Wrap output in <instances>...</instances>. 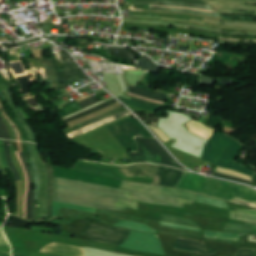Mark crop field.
Instances as JSON below:
<instances>
[{
    "label": "crop field",
    "mask_w": 256,
    "mask_h": 256,
    "mask_svg": "<svg viewBox=\"0 0 256 256\" xmlns=\"http://www.w3.org/2000/svg\"><path fill=\"white\" fill-rule=\"evenodd\" d=\"M40 251V250H39ZM42 253L56 254L62 256H85L83 248L72 247L62 244L50 243L41 249Z\"/></svg>",
    "instance_id": "obj_12"
},
{
    "label": "crop field",
    "mask_w": 256,
    "mask_h": 256,
    "mask_svg": "<svg viewBox=\"0 0 256 256\" xmlns=\"http://www.w3.org/2000/svg\"><path fill=\"white\" fill-rule=\"evenodd\" d=\"M126 95H130V96H133V97H137V98H140V99H144V100H147V101H151V102H155V103H159V104H163V105L165 104L163 102H159V101H155V100L139 97V96H136V95H133V94H130V93H126Z\"/></svg>",
    "instance_id": "obj_50"
},
{
    "label": "crop field",
    "mask_w": 256,
    "mask_h": 256,
    "mask_svg": "<svg viewBox=\"0 0 256 256\" xmlns=\"http://www.w3.org/2000/svg\"><path fill=\"white\" fill-rule=\"evenodd\" d=\"M8 92H9V94H10V96H11V99H12V102H13V98H12V95H11V93H10V91L8 90ZM13 105H14V103H13ZM14 107H15V105H14ZM15 109H16V107H15ZM17 110V109H16ZM17 112H18V110H17ZM19 113V112H18ZM19 115L21 116V114L19 113ZM21 118L24 120V118L21 116ZM24 122L26 123V125L28 126V128L32 131V133H33V135H34V137H35V134H34V132H33V130L30 128V126L27 124V122L24 120ZM35 140H36V138H35ZM37 143V142H36Z\"/></svg>",
    "instance_id": "obj_51"
},
{
    "label": "crop field",
    "mask_w": 256,
    "mask_h": 256,
    "mask_svg": "<svg viewBox=\"0 0 256 256\" xmlns=\"http://www.w3.org/2000/svg\"><path fill=\"white\" fill-rule=\"evenodd\" d=\"M129 114H131V113L128 110H126V111L121 112V113H119V114H117V115H115V116H113L111 118H108V119H105V120H101V121H99V122H97L95 124H92V125H89V126H87L85 128H82V129L76 130L74 132H71V133L67 134V136L71 140V139H73V138H75V137H77V136H79L81 134H84V133H86V132H88V131H90V130H92V129H94V128L102 125V124H106L108 122L115 121L116 119L124 117V116L129 115Z\"/></svg>",
    "instance_id": "obj_16"
},
{
    "label": "crop field",
    "mask_w": 256,
    "mask_h": 256,
    "mask_svg": "<svg viewBox=\"0 0 256 256\" xmlns=\"http://www.w3.org/2000/svg\"><path fill=\"white\" fill-rule=\"evenodd\" d=\"M74 170L88 172V173L109 177V178L121 179L117 176V174L114 172L113 169H109V168L85 166V165L76 163Z\"/></svg>",
    "instance_id": "obj_15"
},
{
    "label": "crop field",
    "mask_w": 256,
    "mask_h": 256,
    "mask_svg": "<svg viewBox=\"0 0 256 256\" xmlns=\"http://www.w3.org/2000/svg\"><path fill=\"white\" fill-rule=\"evenodd\" d=\"M221 41V40H220ZM245 43H251V42H245Z\"/></svg>",
    "instance_id": "obj_61"
},
{
    "label": "crop field",
    "mask_w": 256,
    "mask_h": 256,
    "mask_svg": "<svg viewBox=\"0 0 256 256\" xmlns=\"http://www.w3.org/2000/svg\"><path fill=\"white\" fill-rule=\"evenodd\" d=\"M53 201L120 211L126 208L137 210V202L168 205L182 208L189 201L139 194L121 189L109 188L89 183L54 178Z\"/></svg>",
    "instance_id": "obj_1"
},
{
    "label": "crop field",
    "mask_w": 256,
    "mask_h": 256,
    "mask_svg": "<svg viewBox=\"0 0 256 256\" xmlns=\"http://www.w3.org/2000/svg\"><path fill=\"white\" fill-rule=\"evenodd\" d=\"M129 231L110 226L89 224L84 232L95 242L119 246L127 237Z\"/></svg>",
    "instance_id": "obj_6"
},
{
    "label": "crop field",
    "mask_w": 256,
    "mask_h": 256,
    "mask_svg": "<svg viewBox=\"0 0 256 256\" xmlns=\"http://www.w3.org/2000/svg\"><path fill=\"white\" fill-rule=\"evenodd\" d=\"M0 139H3V138H2V132H1V129H0Z\"/></svg>",
    "instance_id": "obj_57"
},
{
    "label": "crop field",
    "mask_w": 256,
    "mask_h": 256,
    "mask_svg": "<svg viewBox=\"0 0 256 256\" xmlns=\"http://www.w3.org/2000/svg\"><path fill=\"white\" fill-rule=\"evenodd\" d=\"M6 101L8 102L9 106L11 107L12 111L15 113V115L18 117V120L20 121V123L23 125V127L26 129L28 135H29V138H30V141L35 143L34 141V138H33V135L31 133V131L27 128V126L25 125V123L22 121V119L20 118V116L18 115V113L16 112V110L14 109L13 105H12V102L10 100V97L8 95V92L7 90L5 91H2Z\"/></svg>",
    "instance_id": "obj_32"
},
{
    "label": "crop field",
    "mask_w": 256,
    "mask_h": 256,
    "mask_svg": "<svg viewBox=\"0 0 256 256\" xmlns=\"http://www.w3.org/2000/svg\"><path fill=\"white\" fill-rule=\"evenodd\" d=\"M243 146L238 141L216 131L206 145L202 159L217 166L252 176L255 171L233 161Z\"/></svg>",
    "instance_id": "obj_3"
},
{
    "label": "crop field",
    "mask_w": 256,
    "mask_h": 256,
    "mask_svg": "<svg viewBox=\"0 0 256 256\" xmlns=\"http://www.w3.org/2000/svg\"><path fill=\"white\" fill-rule=\"evenodd\" d=\"M190 125V130L193 134L198 135L202 138H205L207 140L210 139V137L213 135L215 132L213 129L193 120L192 122L189 123Z\"/></svg>",
    "instance_id": "obj_18"
},
{
    "label": "crop field",
    "mask_w": 256,
    "mask_h": 256,
    "mask_svg": "<svg viewBox=\"0 0 256 256\" xmlns=\"http://www.w3.org/2000/svg\"><path fill=\"white\" fill-rule=\"evenodd\" d=\"M160 223H161V225H164V226L175 227V228H182V229H189V230H193V231L199 232V229H197V228H190V227L178 226V225H173V224L164 223V222H160ZM200 230H201V229H200Z\"/></svg>",
    "instance_id": "obj_45"
},
{
    "label": "crop field",
    "mask_w": 256,
    "mask_h": 256,
    "mask_svg": "<svg viewBox=\"0 0 256 256\" xmlns=\"http://www.w3.org/2000/svg\"><path fill=\"white\" fill-rule=\"evenodd\" d=\"M252 40H256V39H252Z\"/></svg>",
    "instance_id": "obj_64"
},
{
    "label": "crop field",
    "mask_w": 256,
    "mask_h": 256,
    "mask_svg": "<svg viewBox=\"0 0 256 256\" xmlns=\"http://www.w3.org/2000/svg\"><path fill=\"white\" fill-rule=\"evenodd\" d=\"M0 256H10V254L0 253Z\"/></svg>",
    "instance_id": "obj_55"
},
{
    "label": "crop field",
    "mask_w": 256,
    "mask_h": 256,
    "mask_svg": "<svg viewBox=\"0 0 256 256\" xmlns=\"http://www.w3.org/2000/svg\"><path fill=\"white\" fill-rule=\"evenodd\" d=\"M231 218L256 222V211L251 210H237L236 212L231 211Z\"/></svg>",
    "instance_id": "obj_25"
},
{
    "label": "crop field",
    "mask_w": 256,
    "mask_h": 256,
    "mask_svg": "<svg viewBox=\"0 0 256 256\" xmlns=\"http://www.w3.org/2000/svg\"><path fill=\"white\" fill-rule=\"evenodd\" d=\"M12 256H21V255H15V254H12Z\"/></svg>",
    "instance_id": "obj_58"
},
{
    "label": "crop field",
    "mask_w": 256,
    "mask_h": 256,
    "mask_svg": "<svg viewBox=\"0 0 256 256\" xmlns=\"http://www.w3.org/2000/svg\"><path fill=\"white\" fill-rule=\"evenodd\" d=\"M48 170V213L49 220L52 218V192H53V167L51 163L45 164Z\"/></svg>",
    "instance_id": "obj_22"
},
{
    "label": "crop field",
    "mask_w": 256,
    "mask_h": 256,
    "mask_svg": "<svg viewBox=\"0 0 256 256\" xmlns=\"http://www.w3.org/2000/svg\"><path fill=\"white\" fill-rule=\"evenodd\" d=\"M160 221L199 228V226L196 223H194L192 220L183 219V218H179V217H175V216H171V215L160 214Z\"/></svg>",
    "instance_id": "obj_27"
},
{
    "label": "crop field",
    "mask_w": 256,
    "mask_h": 256,
    "mask_svg": "<svg viewBox=\"0 0 256 256\" xmlns=\"http://www.w3.org/2000/svg\"><path fill=\"white\" fill-rule=\"evenodd\" d=\"M214 176L252 185V182L215 172Z\"/></svg>",
    "instance_id": "obj_39"
},
{
    "label": "crop field",
    "mask_w": 256,
    "mask_h": 256,
    "mask_svg": "<svg viewBox=\"0 0 256 256\" xmlns=\"http://www.w3.org/2000/svg\"><path fill=\"white\" fill-rule=\"evenodd\" d=\"M222 34H224V33H222ZM225 35H229V34H225ZM231 36H234V35H231Z\"/></svg>",
    "instance_id": "obj_59"
},
{
    "label": "crop field",
    "mask_w": 256,
    "mask_h": 256,
    "mask_svg": "<svg viewBox=\"0 0 256 256\" xmlns=\"http://www.w3.org/2000/svg\"><path fill=\"white\" fill-rule=\"evenodd\" d=\"M123 101L127 105H129V106H133V107H137V108H140V109H144V110H147V111L152 112L154 114L156 113V111L158 109L157 107L141 104V103L134 102V101H131V100H128V99H124V98H123Z\"/></svg>",
    "instance_id": "obj_34"
},
{
    "label": "crop field",
    "mask_w": 256,
    "mask_h": 256,
    "mask_svg": "<svg viewBox=\"0 0 256 256\" xmlns=\"http://www.w3.org/2000/svg\"><path fill=\"white\" fill-rule=\"evenodd\" d=\"M43 63H44V69L49 81V85L51 88V91H53L54 89L58 88V84L55 78V74L53 71V67H52V61L51 59H43Z\"/></svg>",
    "instance_id": "obj_23"
},
{
    "label": "crop field",
    "mask_w": 256,
    "mask_h": 256,
    "mask_svg": "<svg viewBox=\"0 0 256 256\" xmlns=\"http://www.w3.org/2000/svg\"><path fill=\"white\" fill-rule=\"evenodd\" d=\"M116 226L126 228V229H132V230H138V231H143V232H149V233H155L156 234V232L154 230L147 227L146 225L141 224V223L132 222V221L124 220L121 223L117 224Z\"/></svg>",
    "instance_id": "obj_26"
},
{
    "label": "crop field",
    "mask_w": 256,
    "mask_h": 256,
    "mask_svg": "<svg viewBox=\"0 0 256 256\" xmlns=\"http://www.w3.org/2000/svg\"><path fill=\"white\" fill-rule=\"evenodd\" d=\"M24 60L27 61L29 68H33L36 70V72L32 74L35 79L40 78L42 82H47V78L43 69L42 59H24Z\"/></svg>",
    "instance_id": "obj_20"
},
{
    "label": "crop field",
    "mask_w": 256,
    "mask_h": 256,
    "mask_svg": "<svg viewBox=\"0 0 256 256\" xmlns=\"http://www.w3.org/2000/svg\"><path fill=\"white\" fill-rule=\"evenodd\" d=\"M0 154H1V160L4 168L8 167L7 160L5 158L4 146H3L2 140H0Z\"/></svg>",
    "instance_id": "obj_42"
},
{
    "label": "crop field",
    "mask_w": 256,
    "mask_h": 256,
    "mask_svg": "<svg viewBox=\"0 0 256 256\" xmlns=\"http://www.w3.org/2000/svg\"><path fill=\"white\" fill-rule=\"evenodd\" d=\"M196 1H201V0H196Z\"/></svg>",
    "instance_id": "obj_63"
},
{
    "label": "crop field",
    "mask_w": 256,
    "mask_h": 256,
    "mask_svg": "<svg viewBox=\"0 0 256 256\" xmlns=\"http://www.w3.org/2000/svg\"><path fill=\"white\" fill-rule=\"evenodd\" d=\"M176 188L256 207L255 190L245 186L209 179L195 174L183 172Z\"/></svg>",
    "instance_id": "obj_2"
},
{
    "label": "crop field",
    "mask_w": 256,
    "mask_h": 256,
    "mask_svg": "<svg viewBox=\"0 0 256 256\" xmlns=\"http://www.w3.org/2000/svg\"><path fill=\"white\" fill-rule=\"evenodd\" d=\"M30 146L39 176V194L37 204H40V215H47V171L39 157L37 145L30 144Z\"/></svg>",
    "instance_id": "obj_9"
},
{
    "label": "crop field",
    "mask_w": 256,
    "mask_h": 256,
    "mask_svg": "<svg viewBox=\"0 0 256 256\" xmlns=\"http://www.w3.org/2000/svg\"><path fill=\"white\" fill-rule=\"evenodd\" d=\"M197 202L202 203V204H207V205H211V206L224 208V209H228V206H227L226 202L210 199V198L204 197V196H199Z\"/></svg>",
    "instance_id": "obj_30"
},
{
    "label": "crop field",
    "mask_w": 256,
    "mask_h": 256,
    "mask_svg": "<svg viewBox=\"0 0 256 256\" xmlns=\"http://www.w3.org/2000/svg\"><path fill=\"white\" fill-rule=\"evenodd\" d=\"M59 52H60L61 61L66 62V61L71 60L70 56L67 53L60 51V50H59Z\"/></svg>",
    "instance_id": "obj_49"
},
{
    "label": "crop field",
    "mask_w": 256,
    "mask_h": 256,
    "mask_svg": "<svg viewBox=\"0 0 256 256\" xmlns=\"http://www.w3.org/2000/svg\"><path fill=\"white\" fill-rule=\"evenodd\" d=\"M234 18V17H233Z\"/></svg>",
    "instance_id": "obj_65"
},
{
    "label": "crop field",
    "mask_w": 256,
    "mask_h": 256,
    "mask_svg": "<svg viewBox=\"0 0 256 256\" xmlns=\"http://www.w3.org/2000/svg\"><path fill=\"white\" fill-rule=\"evenodd\" d=\"M119 188L130 190V191H135V192H140V193H146V194L177 197V198L190 200L193 202H195L198 197V194H194L191 192L174 190V189H169V188L159 187V186L137 184V183H132V182H122Z\"/></svg>",
    "instance_id": "obj_8"
},
{
    "label": "crop field",
    "mask_w": 256,
    "mask_h": 256,
    "mask_svg": "<svg viewBox=\"0 0 256 256\" xmlns=\"http://www.w3.org/2000/svg\"><path fill=\"white\" fill-rule=\"evenodd\" d=\"M115 102H117V101H116L115 99H113V100H111V101H109V102H106V103H104V104H102V105H99V106H97V107H95V108H92V109H90V110H88V111H85V112H83V113H81V114H78V115H76V116H74V117H72V118H70V119H67V120L64 121V123L73 121V120H75V119H78V118H80V117H83V116H85V115H88V114H90V113H93V112H95V111H98V110H100V109H103V108H105V107H107V106H109V105H111V104H113V103H115Z\"/></svg>",
    "instance_id": "obj_31"
},
{
    "label": "crop field",
    "mask_w": 256,
    "mask_h": 256,
    "mask_svg": "<svg viewBox=\"0 0 256 256\" xmlns=\"http://www.w3.org/2000/svg\"><path fill=\"white\" fill-rule=\"evenodd\" d=\"M159 166L155 165L154 167L149 166L148 164H136L130 166L119 167L118 171H127V170H142V171H150L156 173ZM150 172H141V171H127V172H120L122 175L126 177H148L154 178V173Z\"/></svg>",
    "instance_id": "obj_13"
},
{
    "label": "crop field",
    "mask_w": 256,
    "mask_h": 256,
    "mask_svg": "<svg viewBox=\"0 0 256 256\" xmlns=\"http://www.w3.org/2000/svg\"><path fill=\"white\" fill-rule=\"evenodd\" d=\"M52 60L56 72L57 81L60 86V88L56 89L55 91L86 78V76L78 68H73L76 63H62V68L64 72H59L55 59Z\"/></svg>",
    "instance_id": "obj_10"
},
{
    "label": "crop field",
    "mask_w": 256,
    "mask_h": 256,
    "mask_svg": "<svg viewBox=\"0 0 256 256\" xmlns=\"http://www.w3.org/2000/svg\"><path fill=\"white\" fill-rule=\"evenodd\" d=\"M223 25L232 26V27H241V28H256V25L246 24V23H236V22H226L222 21Z\"/></svg>",
    "instance_id": "obj_37"
},
{
    "label": "crop field",
    "mask_w": 256,
    "mask_h": 256,
    "mask_svg": "<svg viewBox=\"0 0 256 256\" xmlns=\"http://www.w3.org/2000/svg\"><path fill=\"white\" fill-rule=\"evenodd\" d=\"M136 140L140 149V154H129L132 162H137V163L147 162V163H154V164L161 165V158H162V165H168V166L176 167L179 169H183L179 164H177L172 159V157L165 151V149L155 139L136 138ZM140 144H143L153 155L159 154L161 158L159 157V155L153 156L143 145H141L146 158V162H145Z\"/></svg>",
    "instance_id": "obj_4"
},
{
    "label": "crop field",
    "mask_w": 256,
    "mask_h": 256,
    "mask_svg": "<svg viewBox=\"0 0 256 256\" xmlns=\"http://www.w3.org/2000/svg\"><path fill=\"white\" fill-rule=\"evenodd\" d=\"M60 208H67V209L81 210V211H88V212H95V210H96L94 208H88V207H82V206H76V205L53 202V216L58 214V210Z\"/></svg>",
    "instance_id": "obj_28"
},
{
    "label": "crop field",
    "mask_w": 256,
    "mask_h": 256,
    "mask_svg": "<svg viewBox=\"0 0 256 256\" xmlns=\"http://www.w3.org/2000/svg\"><path fill=\"white\" fill-rule=\"evenodd\" d=\"M224 231L234 232V233L256 234V224H251V223H246V225L226 224Z\"/></svg>",
    "instance_id": "obj_19"
},
{
    "label": "crop field",
    "mask_w": 256,
    "mask_h": 256,
    "mask_svg": "<svg viewBox=\"0 0 256 256\" xmlns=\"http://www.w3.org/2000/svg\"><path fill=\"white\" fill-rule=\"evenodd\" d=\"M254 178H256V175L254 176Z\"/></svg>",
    "instance_id": "obj_62"
},
{
    "label": "crop field",
    "mask_w": 256,
    "mask_h": 256,
    "mask_svg": "<svg viewBox=\"0 0 256 256\" xmlns=\"http://www.w3.org/2000/svg\"><path fill=\"white\" fill-rule=\"evenodd\" d=\"M16 154H17V156H18V158H19V160H20V163H21V165H22V168H23V170H24V172H25V178H26V196H27V190H28L27 174H26V171H25V169H24L23 163H22V161H21V158H20L18 152H16ZM26 196H25V200H24V218H25Z\"/></svg>",
    "instance_id": "obj_46"
},
{
    "label": "crop field",
    "mask_w": 256,
    "mask_h": 256,
    "mask_svg": "<svg viewBox=\"0 0 256 256\" xmlns=\"http://www.w3.org/2000/svg\"><path fill=\"white\" fill-rule=\"evenodd\" d=\"M151 128L159 135V137H160L164 142L170 140V139H169L164 133H162L159 129H155V128H153V127H151Z\"/></svg>",
    "instance_id": "obj_48"
},
{
    "label": "crop field",
    "mask_w": 256,
    "mask_h": 256,
    "mask_svg": "<svg viewBox=\"0 0 256 256\" xmlns=\"http://www.w3.org/2000/svg\"><path fill=\"white\" fill-rule=\"evenodd\" d=\"M124 110H126L124 107L119 108V109H117V110L111 111V112H109V113L103 114V115H101V116L95 117V118L90 119V120H88V121H86V122H83V123H81V124H78V125H76V126H73V127L67 128V129H64L63 131H64V133L66 134V133H68V132H71V131H74V130H76V129L82 128V127H84V126H86V125L92 124V123H94V122H96V121H98V120L108 118V117H110V116H112V115H114V114H116V113H119V112H121V111H124Z\"/></svg>",
    "instance_id": "obj_21"
},
{
    "label": "crop field",
    "mask_w": 256,
    "mask_h": 256,
    "mask_svg": "<svg viewBox=\"0 0 256 256\" xmlns=\"http://www.w3.org/2000/svg\"><path fill=\"white\" fill-rule=\"evenodd\" d=\"M130 87V86H129ZM130 88H132V87H130ZM129 88V92H131V93H133V94H136V95H139V96H143V97H147V98H151V99H155V100H159V101H163V102H165L166 101V99H167V96L166 95H164V96H161V97H163V98H160V97H156V96H152V95H149V94H145V93H142V92H139V91H136V90H133V89H136V88H140V87H138V86H136V88H133V89H130ZM140 89H143V88H140ZM138 90V89H137ZM145 90V89H144ZM141 91V90H140ZM146 91H148V90H146ZM148 92H150V91H148ZM151 93H155V94H159V93H156V92H151ZM155 94H153V95H155ZM160 95H163V94H160ZM157 96H159V95H157Z\"/></svg>",
    "instance_id": "obj_33"
},
{
    "label": "crop field",
    "mask_w": 256,
    "mask_h": 256,
    "mask_svg": "<svg viewBox=\"0 0 256 256\" xmlns=\"http://www.w3.org/2000/svg\"><path fill=\"white\" fill-rule=\"evenodd\" d=\"M134 4H150V5H167V6H178L185 8H195L213 11L208 5H197L183 2H165V1H153V2H134Z\"/></svg>",
    "instance_id": "obj_17"
},
{
    "label": "crop field",
    "mask_w": 256,
    "mask_h": 256,
    "mask_svg": "<svg viewBox=\"0 0 256 256\" xmlns=\"http://www.w3.org/2000/svg\"><path fill=\"white\" fill-rule=\"evenodd\" d=\"M5 142V146H6V152H7V158H8V163H9V167L15 177L16 180H20L19 176H18V172L15 170L11 158H10V152H9V147H11L10 141L4 140Z\"/></svg>",
    "instance_id": "obj_35"
},
{
    "label": "crop field",
    "mask_w": 256,
    "mask_h": 256,
    "mask_svg": "<svg viewBox=\"0 0 256 256\" xmlns=\"http://www.w3.org/2000/svg\"><path fill=\"white\" fill-rule=\"evenodd\" d=\"M107 129L125 150H137L133 139L137 137V134H142L143 137H153L140 122L137 123L132 118L111 125Z\"/></svg>",
    "instance_id": "obj_5"
},
{
    "label": "crop field",
    "mask_w": 256,
    "mask_h": 256,
    "mask_svg": "<svg viewBox=\"0 0 256 256\" xmlns=\"http://www.w3.org/2000/svg\"><path fill=\"white\" fill-rule=\"evenodd\" d=\"M151 7H156V6H151ZM173 8H176V7H173ZM183 9H185V8H183ZM191 10H194V9H191ZM199 11H204V10H199ZM207 12H211V11H207Z\"/></svg>",
    "instance_id": "obj_56"
},
{
    "label": "crop field",
    "mask_w": 256,
    "mask_h": 256,
    "mask_svg": "<svg viewBox=\"0 0 256 256\" xmlns=\"http://www.w3.org/2000/svg\"><path fill=\"white\" fill-rule=\"evenodd\" d=\"M23 153H24V157H25V159H26L27 165H30V166H31L29 169H30L31 175H32V183L35 184V181H34V170H33V168H32L31 162H30V160H29V157H28V155H27V152H23Z\"/></svg>",
    "instance_id": "obj_47"
},
{
    "label": "crop field",
    "mask_w": 256,
    "mask_h": 256,
    "mask_svg": "<svg viewBox=\"0 0 256 256\" xmlns=\"http://www.w3.org/2000/svg\"><path fill=\"white\" fill-rule=\"evenodd\" d=\"M184 28H189V29H196V28H190V27H184ZM197 30H201V29H197ZM203 31H207V30H203ZM209 32H213V31H209ZM218 33V32H215ZM220 34V33H219Z\"/></svg>",
    "instance_id": "obj_54"
},
{
    "label": "crop field",
    "mask_w": 256,
    "mask_h": 256,
    "mask_svg": "<svg viewBox=\"0 0 256 256\" xmlns=\"http://www.w3.org/2000/svg\"><path fill=\"white\" fill-rule=\"evenodd\" d=\"M134 1H142V0H134ZM174 1H181V0H174ZM183 2H192V3L205 4V3H203V2H196V1H183Z\"/></svg>",
    "instance_id": "obj_53"
},
{
    "label": "crop field",
    "mask_w": 256,
    "mask_h": 256,
    "mask_svg": "<svg viewBox=\"0 0 256 256\" xmlns=\"http://www.w3.org/2000/svg\"><path fill=\"white\" fill-rule=\"evenodd\" d=\"M0 125H1V129H2V132H3L4 138L10 139L9 131H8L5 123L1 119H0Z\"/></svg>",
    "instance_id": "obj_44"
},
{
    "label": "crop field",
    "mask_w": 256,
    "mask_h": 256,
    "mask_svg": "<svg viewBox=\"0 0 256 256\" xmlns=\"http://www.w3.org/2000/svg\"><path fill=\"white\" fill-rule=\"evenodd\" d=\"M205 237L215 238V239H224V240L238 241L239 234H229V233H220V232L206 231L205 232Z\"/></svg>",
    "instance_id": "obj_29"
},
{
    "label": "crop field",
    "mask_w": 256,
    "mask_h": 256,
    "mask_svg": "<svg viewBox=\"0 0 256 256\" xmlns=\"http://www.w3.org/2000/svg\"><path fill=\"white\" fill-rule=\"evenodd\" d=\"M181 174L182 171L171 168L166 171L165 167L160 166L152 184L175 188Z\"/></svg>",
    "instance_id": "obj_11"
},
{
    "label": "crop field",
    "mask_w": 256,
    "mask_h": 256,
    "mask_svg": "<svg viewBox=\"0 0 256 256\" xmlns=\"http://www.w3.org/2000/svg\"><path fill=\"white\" fill-rule=\"evenodd\" d=\"M255 250L239 249L235 256H254Z\"/></svg>",
    "instance_id": "obj_40"
},
{
    "label": "crop field",
    "mask_w": 256,
    "mask_h": 256,
    "mask_svg": "<svg viewBox=\"0 0 256 256\" xmlns=\"http://www.w3.org/2000/svg\"><path fill=\"white\" fill-rule=\"evenodd\" d=\"M20 155H21V158H22V160L24 162V166H25V168L27 170L28 177H29V191H28V198H27L26 218L33 220L32 200H33V193H34V191H31V176H30V172H29V169H28V167L26 165V162L24 160L22 152H20Z\"/></svg>",
    "instance_id": "obj_24"
},
{
    "label": "crop field",
    "mask_w": 256,
    "mask_h": 256,
    "mask_svg": "<svg viewBox=\"0 0 256 256\" xmlns=\"http://www.w3.org/2000/svg\"><path fill=\"white\" fill-rule=\"evenodd\" d=\"M0 112H1V110H0ZM2 116H3V114H2ZM3 118L6 120V122L10 125L11 129L13 130V132H14V140H16V133H15L13 127L11 126V124L7 121V119L4 116H3Z\"/></svg>",
    "instance_id": "obj_52"
},
{
    "label": "crop field",
    "mask_w": 256,
    "mask_h": 256,
    "mask_svg": "<svg viewBox=\"0 0 256 256\" xmlns=\"http://www.w3.org/2000/svg\"><path fill=\"white\" fill-rule=\"evenodd\" d=\"M149 9H158V10H173V11H185V12H193V13H200V14H206L211 16L219 17L218 14L214 13H206V12H197V11H189V10H177V9H167V8H149Z\"/></svg>",
    "instance_id": "obj_41"
},
{
    "label": "crop field",
    "mask_w": 256,
    "mask_h": 256,
    "mask_svg": "<svg viewBox=\"0 0 256 256\" xmlns=\"http://www.w3.org/2000/svg\"><path fill=\"white\" fill-rule=\"evenodd\" d=\"M133 100V99H132ZM136 101V100H135ZM140 102V101H139ZM143 103V102H142ZM145 104H147V103H145ZM150 105V104H149Z\"/></svg>",
    "instance_id": "obj_60"
},
{
    "label": "crop field",
    "mask_w": 256,
    "mask_h": 256,
    "mask_svg": "<svg viewBox=\"0 0 256 256\" xmlns=\"http://www.w3.org/2000/svg\"><path fill=\"white\" fill-rule=\"evenodd\" d=\"M95 102H98V100H97L95 97H93V98H90V99L81 101V102H79V104H80L83 108H85V107H87V106H89V105H91V104H93V103H95Z\"/></svg>",
    "instance_id": "obj_43"
},
{
    "label": "crop field",
    "mask_w": 256,
    "mask_h": 256,
    "mask_svg": "<svg viewBox=\"0 0 256 256\" xmlns=\"http://www.w3.org/2000/svg\"><path fill=\"white\" fill-rule=\"evenodd\" d=\"M174 249L201 253L203 255H211L215 252L206 251L205 245L203 242L191 241L185 239H176Z\"/></svg>",
    "instance_id": "obj_14"
},
{
    "label": "crop field",
    "mask_w": 256,
    "mask_h": 256,
    "mask_svg": "<svg viewBox=\"0 0 256 256\" xmlns=\"http://www.w3.org/2000/svg\"><path fill=\"white\" fill-rule=\"evenodd\" d=\"M26 144H27V149H28V153H29L30 160H31L32 165H33V168H34V170H35V177H36V191H35V199H34V220H35L36 199H37V194H38V179H37L36 167H35L34 161H33V159H32L31 153H30L29 143H26Z\"/></svg>",
    "instance_id": "obj_36"
},
{
    "label": "crop field",
    "mask_w": 256,
    "mask_h": 256,
    "mask_svg": "<svg viewBox=\"0 0 256 256\" xmlns=\"http://www.w3.org/2000/svg\"><path fill=\"white\" fill-rule=\"evenodd\" d=\"M121 247L144 252L164 254L159 236L131 231Z\"/></svg>",
    "instance_id": "obj_7"
},
{
    "label": "crop field",
    "mask_w": 256,
    "mask_h": 256,
    "mask_svg": "<svg viewBox=\"0 0 256 256\" xmlns=\"http://www.w3.org/2000/svg\"><path fill=\"white\" fill-rule=\"evenodd\" d=\"M217 172L225 173V174H228V175L236 176V177L247 179V180L251 181L250 177H247V176L239 174L237 172L227 170V169H223V168H220V167H218Z\"/></svg>",
    "instance_id": "obj_38"
}]
</instances>
